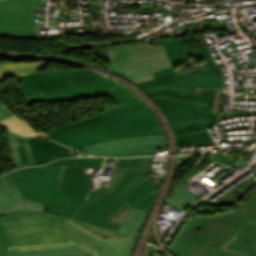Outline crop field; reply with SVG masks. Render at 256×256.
<instances>
[{"instance_id":"obj_1","label":"crop field","mask_w":256,"mask_h":256,"mask_svg":"<svg viewBox=\"0 0 256 256\" xmlns=\"http://www.w3.org/2000/svg\"><path fill=\"white\" fill-rule=\"evenodd\" d=\"M16 87L27 105L73 101L106 94L118 105L80 121L46 132L47 136L104 120L103 117L147 106L134 93L91 70L45 72L19 76Z\"/></svg>"},{"instance_id":"obj_2","label":"crop field","mask_w":256,"mask_h":256,"mask_svg":"<svg viewBox=\"0 0 256 256\" xmlns=\"http://www.w3.org/2000/svg\"><path fill=\"white\" fill-rule=\"evenodd\" d=\"M103 159H59L47 165L15 170L0 177V217L23 212H48L60 188L63 166L100 168ZM95 255L81 248L10 253L0 239V256Z\"/></svg>"},{"instance_id":"obj_3","label":"crop field","mask_w":256,"mask_h":256,"mask_svg":"<svg viewBox=\"0 0 256 256\" xmlns=\"http://www.w3.org/2000/svg\"><path fill=\"white\" fill-rule=\"evenodd\" d=\"M168 249L178 256H256V189L244 208L190 217Z\"/></svg>"},{"instance_id":"obj_4","label":"crop field","mask_w":256,"mask_h":256,"mask_svg":"<svg viewBox=\"0 0 256 256\" xmlns=\"http://www.w3.org/2000/svg\"><path fill=\"white\" fill-rule=\"evenodd\" d=\"M65 218L47 213H24L0 218V237L6 247L68 242L97 251L98 246L62 228Z\"/></svg>"},{"instance_id":"obj_5","label":"crop field","mask_w":256,"mask_h":256,"mask_svg":"<svg viewBox=\"0 0 256 256\" xmlns=\"http://www.w3.org/2000/svg\"><path fill=\"white\" fill-rule=\"evenodd\" d=\"M152 158L153 156L143 158L136 176L116 197L105 193L107 187L98 185L97 189L100 194L95 191L92 192L90 198L88 197L89 199L84 202L73 219L118 231L126 212L131 207L129 203L122 199L146 178L145 176L152 164Z\"/></svg>"},{"instance_id":"obj_6","label":"crop field","mask_w":256,"mask_h":256,"mask_svg":"<svg viewBox=\"0 0 256 256\" xmlns=\"http://www.w3.org/2000/svg\"><path fill=\"white\" fill-rule=\"evenodd\" d=\"M127 121L133 137L102 142L78 150L94 155L124 157L155 154V146L168 145L159 120L132 119Z\"/></svg>"},{"instance_id":"obj_7","label":"crop field","mask_w":256,"mask_h":256,"mask_svg":"<svg viewBox=\"0 0 256 256\" xmlns=\"http://www.w3.org/2000/svg\"><path fill=\"white\" fill-rule=\"evenodd\" d=\"M151 118L157 119L150 107L135 109L105 117L106 120L80 127L74 130L49 136V139L74 149L85 147L102 141L130 137L126 119Z\"/></svg>"},{"instance_id":"obj_8","label":"crop field","mask_w":256,"mask_h":256,"mask_svg":"<svg viewBox=\"0 0 256 256\" xmlns=\"http://www.w3.org/2000/svg\"><path fill=\"white\" fill-rule=\"evenodd\" d=\"M111 52V71L128 79L171 66L164 48L152 46L151 43L113 49ZM117 58L120 62L115 63Z\"/></svg>"},{"instance_id":"obj_9","label":"crop field","mask_w":256,"mask_h":256,"mask_svg":"<svg viewBox=\"0 0 256 256\" xmlns=\"http://www.w3.org/2000/svg\"><path fill=\"white\" fill-rule=\"evenodd\" d=\"M35 0L0 1V35L37 37Z\"/></svg>"},{"instance_id":"obj_10","label":"crop field","mask_w":256,"mask_h":256,"mask_svg":"<svg viewBox=\"0 0 256 256\" xmlns=\"http://www.w3.org/2000/svg\"><path fill=\"white\" fill-rule=\"evenodd\" d=\"M83 169L64 167L61 188L49 213L71 219L78 211L91 176L83 174Z\"/></svg>"},{"instance_id":"obj_11","label":"crop field","mask_w":256,"mask_h":256,"mask_svg":"<svg viewBox=\"0 0 256 256\" xmlns=\"http://www.w3.org/2000/svg\"><path fill=\"white\" fill-rule=\"evenodd\" d=\"M146 216L144 212L131 207L117 237L103 239L98 256H130Z\"/></svg>"},{"instance_id":"obj_12","label":"crop field","mask_w":256,"mask_h":256,"mask_svg":"<svg viewBox=\"0 0 256 256\" xmlns=\"http://www.w3.org/2000/svg\"><path fill=\"white\" fill-rule=\"evenodd\" d=\"M167 117L174 136L186 135L205 130L206 127L195 126L198 109L196 103L177 99H153Z\"/></svg>"},{"instance_id":"obj_13","label":"crop field","mask_w":256,"mask_h":256,"mask_svg":"<svg viewBox=\"0 0 256 256\" xmlns=\"http://www.w3.org/2000/svg\"><path fill=\"white\" fill-rule=\"evenodd\" d=\"M152 75L155 80L137 84L149 94L151 98L169 97L194 102L198 101L199 95L189 93L179 94V82L172 67L155 72Z\"/></svg>"},{"instance_id":"obj_14","label":"crop field","mask_w":256,"mask_h":256,"mask_svg":"<svg viewBox=\"0 0 256 256\" xmlns=\"http://www.w3.org/2000/svg\"><path fill=\"white\" fill-rule=\"evenodd\" d=\"M34 156L35 165L48 163L62 157L75 156L76 151L56 143L28 138Z\"/></svg>"},{"instance_id":"obj_15","label":"crop field","mask_w":256,"mask_h":256,"mask_svg":"<svg viewBox=\"0 0 256 256\" xmlns=\"http://www.w3.org/2000/svg\"><path fill=\"white\" fill-rule=\"evenodd\" d=\"M180 93H193L195 88H217L215 75L209 68L177 73Z\"/></svg>"},{"instance_id":"obj_16","label":"crop field","mask_w":256,"mask_h":256,"mask_svg":"<svg viewBox=\"0 0 256 256\" xmlns=\"http://www.w3.org/2000/svg\"><path fill=\"white\" fill-rule=\"evenodd\" d=\"M143 157L121 159L106 192L116 196L132 180L137 173Z\"/></svg>"},{"instance_id":"obj_17","label":"crop field","mask_w":256,"mask_h":256,"mask_svg":"<svg viewBox=\"0 0 256 256\" xmlns=\"http://www.w3.org/2000/svg\"><path fill=\"white\" fill-rule=\"evenodd\" d=\"M159 186L160 184L153 183L146 178L124 200L128 201L131 206L139 208L148 214L158 194Z\"/></svg>"},{"instance_id":"obj_18","label":"crop field","mask_w":256,"mask_h":256,"mask_svg":"<svg viewBox=\"0 0 256 256\" xmlns=\"http://www.w3.org/2000/svg\"><path fill=\"white\" fill-rule=\"evenodd\" d=\"M11 154L16 168L34 165L27 137L9 132Z\"/></svg>"},{"instance_id":"obj_19","label":"crop field","mask_w":256,"mask_h":256,"mask_svg":"<svg viewBox=\"0 0 256 256\" xmlns=\"http://www.w3.org/2000/svg\"><path fill=\"white\" fill-rule=\"evenodd\" d=\"M215 91H216V89H204L203 90L201 97L196 105V106L200 107L199 113L197 116L196 125L209 126V125L217 124L220 103H219V107H218V112L210 110L212 103H213ZM222 91L223 90H221L220 102H221V98H222Z\"/></svg>"},{"instance_id":"obj_20","label":"crop field","mask_w":256,"mask_h":256,"mask_svg":"<svg viewBox=\"0 0 256 256\" xmlns=\"http://www.w3.org/2000/svg\"><path fill=\"white\" fill-rule=\"evenodd\" d=\"M156 45L164 46L172 65L191 60L180 38L156 40Z\"/></svg>"},{"instance_id":"obj_21","label":"crop field","mask_w":256,"mask_h":256,"mask_svg":"<svg viewBox=\"0 0 256 256\" xmlns=\"http://www.w3.org/2000/svg\"><path fill=\"white\" fill-rule=\"evenodd\" d=\"M48 64H50V61L30 63H0V76L2 77L9 73L27 74L36 72Z\"/></svg>"},{"instance_id":"obj_22","label":"crop field","mask_w":256,"mask_h":256,"mask_svg":"<svg viewBox=\"0 0 256 256\" xmlns=\"http://www.w3.org/2000/svg\"><path fill=\"white\" fill-rule=\"evenodd\" d=\"M198 197L186 187L176 190L170 197L165 199V203L184 211Z\"/></svg>"},{"instance_id":"obj_23","label":"crop field","mask_w":256,"mask_h":256,"mask_svg":"<svg viewBox=\"0 0 256 256\" xmlns=\"http://www.w3.org/2000/svg\"><path fill=\"white\" fill-rule=\"evenodd\" d=\"M0 124L24 136L44 135L43 133H36L26 121H21L13 116L1 121Z\"/></svg>"},{"instance_id":"obj_24","label":"crop field","mask_w":256,"mask_h":256,"mask_svg":"<svg viewBox=\"0 0 256 256\" xmlns=\"http://www.w3.org/2000/svg\"><path fill=\"white\" fill-rule=\"evenodd\" d=\"M191 51H192L195 59L202 57L206 66L213 69L214 74L216 75V78H217L218 88H223L222 78H221L218 68L208 50V47L204 46V47L192 49Z\"/></svg>"},{"instance_id":"obj_25","label":"crop field","mask_w":256,"mask_h":256,"mask_svg":"<svg viewBox=\"0 0 256 256\" xmlns=\"http://www.w3.org/2000/svg\"><path fill=\"white\" fill-rule=\"evenodd\" d=\"M176 145H184L193 143L194 149L196 146L210 144L208 131H202L191 135L175 137Z\"/></svg>"},{"instance_id":"obj_26","label":"crop field","mask_w":256,"mask_h":256,"mask_svg":"<svg viewBox=\"0 0 256 256\" xmlns=\"http://www.w3.org/2000/svg\"><path fill=\"white\" fill-rule=\"evenodd\" d=\"M63 227L77 233L78 235L86 238L87 240H89L99 246L101 245V242L103 239L102 237H99V236L93 234L92 232L86 230L85 228H83L69 220H66Z\"/></svg>"},{"instance_id":"obj_27","label":"crop field","mask_w":256,"mask_h":256,"mask_svg":"<svg viewBox=\"0 0 256 256\" xmlns=\"http://www.w3.org/2000/svg\"><path fill=\"white\" fill-rule=\"evenodd\" d=\"M75 223L87 228L88 230L102 236V237H113V236H116L117 235V231H113V230H109V229H106V228H102V227H98V226H95V225H92V224H88V223H84V222H81V221H77V220H73Z\"/></svg>"},{"instance_id":"obj_28","label":"crop field","mask_w":256,"mask_h":256,"mask_svg":"<svg viewBox=\"0 0 256 256\" xmlns=\"http://www.w3.org/2000/svg\"><path fill=\"white\" fill-rule=\"evenodd\" d=\"M69 247H77V246H75V245H73V244L42 245V246H30V247L10 248V250H11V252H19V251L59 249V248H69Z\"/></svg>"},{"instance_id":"obj_29","label":"crop field","mask_w":256,"mask_h":256,"mask_svg":"<svg viewBox=\"0 0 256 256\" xmlns=\"http://www.w3.org/2000/svg\"><path fill=\"white\" fill-rule=\"evenodd\" d=\"M213 158L218 160V161H221L225 164H228V165H230L234 161V159H232L230 157H227V156H224V155L220 154L219 152L214 153Z\"/></svg>"},{"instance_id":"obj_30","label":"crop field","mask_w":256,"mask_h":256,"mask_svg":"<svg viewBox=\"0 0 256 256\" xmlns=\"http://www.w3.org/2000/svg\"><path fill=\"white\" fill-rule=\"evenodd\" d=\"M11 116V114L0 104V121Z\"/></svg>"},{"instance_id":"obj_31","label":"crop field","mask_w":256,"mask_h":256,"mask_svg":"<svg viewBox=\"0 0 256 256\" xmlns=\"http://www.w3.org/2000/svg\"><path fill=\"white\" fill-rule=\"evenodd\" d=\"M219 95H220V90L217 89L215 99H214V103H213V106L211 108L212 110L217 111V106H218V102H219Z\"/></svg>"},{"instance_id":"obj_32","label":"crop field","mask_w":256,"mask_h":256,"mask_svg":"<svg viewBox=\"0 0 256 256\" xmlns=\"http://www.w3.org/2000/svg\"><path fill=\"white\" fill-rule=\"evenodd\" d=\"M156 248H154L152 245L148 246V249L144 256H153V254L156 252Z\"/></svg>"}]
</instances>
